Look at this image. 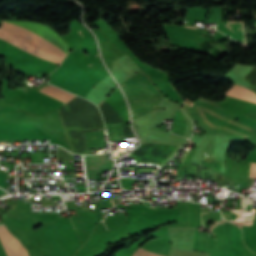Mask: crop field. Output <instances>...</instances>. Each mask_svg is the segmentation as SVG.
Here are the masks:
<instances>
[{
  "label": "crop field",
  "mask_w": 256,
  "mask_h": 256,
  "mask_svg": "<svg viewBox=\"0 0 256 256\" xmlns=\"http://www.w3.org/2000/svg\"><path fill=\"white\" fill-rule=\"evenodd\" d=\"M250 162L239 160L238 169L236 175L242 177H248Z\"/></svg>",
  "instance_id": "f4fd0767"
},
{
  "label": "crop field",
  "mask_w": 256,
  "mask_h": 256,
  "mask_svg": "<svg viewBox=\"0 0 256 256\" xmlns=\"http://www.w3.org/2000/svg\"><path fill=\"white\" fill-rule=\"evenodd\" d=\"M114 202H115V205L120 203V200L119 199H114Z\"/></svg>",
  "instance_id": "e52e79f7"
},
{
  "label": "crop field",
  "mask_w": 256,
  "mask_h": 256,
  "mask_svg": "<svg viewBox=\"0 0 256 256\" xmlns=\"http://www.w3.org/2000/svg\"><path fill=\"white\" fill-rule=\"evenodd\" d=\"M40 91L66 103L68 102L70 99H72L75 95L70 94L68 92H65L61 89H58L56 87H53L51 85H48L47 87L41 89Z\"/></svg>",
  "instance_id": "412701ff"
},
{
  "label": "crop field",
  "mask_w": 256,
  "mask_h": 256,
  "mask_svg": "<svg viewBox=\"0 0 256 256\" xmlns=\"http://www.w3.org/2000/svg\"><path fill=\"white\" fill-rule=\"evenodd\" d=\"M188 27V26H187ZM194 28V27H193Z\"/></svg>",
  "instance_id": "3316defc"
},
{
  "label": "crop field",
  "mask_w": 256,
  "mask_h": 256,
  "mask_svg": "<svg viewBox=\"0 0 256 256\" xmlns=\"http://www.w3.org/2000/svg\"><path fill=\"white\" fill-rule=\"evenodd\" d=\"M249 177L256 178V164L251 162V171Z\"/></svg>",
  "instance_id": "dd49c442"
},
{
  "label": "crop field",
  "mask_w": 256,
  "mask_h": 256,
  "mask_svg": "<svg viewBox=\"0 0 256 256\" xmlns=\"http://www.w3.org/2000/svg\"><path fill=\"white\" fill-rule=\"evenodd\" d=\"M0 224H3V222H1Z\"/></svg>",
  "instance_id": "5a996713"
},
{
  "label": "crop field",
  "mask_w": 256,
  "mask_h": 256,
  "mask_svg": "<svg viewBox=\"0 0 256 256\" xmlns=\"http://www.w3.org/2000/svg\"><path fill=\"white\" fill-rule=\"evenodd\" d=\"M120 85L130 102L132 120L150 110V105L162 96L140 71Z\"/></svg>",
  "instance_id": "ac0d7876"
},
{
  "label": "crop field",
  "mask_w": 256,
  "mask_h": 256,
  "mask_svg": "<svg viewBox=\"0 0 256 256\" xmlns=\"http://www.w3.org/2000/svg\"><path fill=\"white\" fill-rule=\"evenodd\" d=\"M103 100H104V99H103ZM102 102H103V101H102ZM102 102H101V103H102ZM101 103H100V104H101ZM99 106H100V105H99ZM99 106H98V107H99Z\"/></svg>",
  "instance_id": "d8731c3e"
},
{
  "label": "crop field",
  "mask_w": 256,
  "mask_h": 256,
  "mask_svg": "<svg viewBox=\"0 0 256 256\" xmlns=\"http://www.w3.org/2000/svg\"><path fill=\"white\" fill-rule=\"evenodd\" d=\"M0 37L41 59L55 63L60 64L67 54L39 36L5 22L0 28Z\"/></svg>",
  "instance_id": "8a807250"
},
{
  "label": "crop field",
  "mask_w": 256,
  "mask_h": 256,
  "mask_svg": "<svg viewBox=\"0 0 256 256\" xmlns=\"http://www.w3.org/2000/svg\"><path fill=\"white\" fill-rule=\"evenodd\" d=\"M226 95L234 97V98H238V99H242V100H246V101L256 103V95H255L254 92L246 90V89H244L242 87H239L237 85H234L232 88H230L227 91Z\"/></svg>",
  "instance_id": "34b2d1b8"
}]
</instances>
